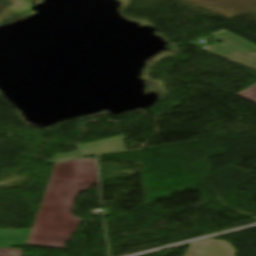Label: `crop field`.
I'll return each instance as SVG.
<instances>
[{"label": "crop field", "instance_id": "ac0d7876", "mask_svg": "<svg viewBox=\"0 0 256 256\" xmlns=\"http://www.w3.org/2000/svg\"><path fill=\"white\" fill-rule=\"evenodd\" d=\"M210 36L224 42L222 45L213 44L208 50L218 56L228 58L256 69V46L223 30Z\"/></svg>", "mask_w": 256, "mask_h": 256}, {"label": "crop field", "instance_id": "f4fd0767", "mask_svg": "<svg viewBox=\"0 0 256 256\" xmlns=\"http://www.w3.org/2000/svg\"><path fill=\"white\" fill-rule=\"evenodd\" d=\"M89 155H93V154H89V153L82 152V151L69 152V153L56 155V156L53 157V159L47 160L45 162L48 163V164H51V163H57V162L82 158V157H86V156H89Z\"/></svg>", "mask_w": 256, "mask_h": 256}, {"label": "crop field", "instance_id": "d8731c3e", "mask_svg": "<svg viewBox=\"0 0 256 256\" xmlns=\"http://www.w3.org/2000/svg\"><path fill=\"white\" fill-rule=\"evenodd\" d=\"M191 44H193V45H195V46H197V47L203 49V45H201V44H199V43H197V42H194V43H191Z\"/></svg>", "mask_w": 256, "mask_h": 256}, {"label": "crop field", "instance_id": "dd49c442", "mask_svg": "<svg viewBox=\"0 0 256 256\" xmlns=\"http://www.w3.org/2000/svg\"><path fill=\"white\" fill-rule=\"evenodd\" d=\"M237 95L256 102V84L251 86L250 88L238 93Z\"/></svg>", "mask_w": 256, "mask_h": 256}, {"label": "crop field", "instance_id": "8a807250", "mask_svg": "<svg viewBox=\"0 0 256 256\" xmlns=\"http://www.w3.org/2000/svg\"><path fill=\"white\" fill-rule=\"evenodd\" d=\"M92 184H98L95 160L54 164L26 245L64 249L81 221L71 214L74 200Z\"/></svg>", "mask_w": 256, "mask_h": 256}, {"label": "crop field", "instance_id": "e52e79f7", "mask_svg": "<svg viewBox=\"0 0 256 256\" xmlns=\"http://www.w3.org/2000/svg\"><path fill=\"white\" fill-rule=\"evenodd\" d=\"M24 251L8 248L0 249V256H22Z\"/></svg>", "mask_w": 256, "mask_h": 256}, {"label": "crop field", "instance_id": "34b2d1b8", "mask_svg": "<svg viewBox=\"0 0 256 256\" xmlns=\"http://www.w3.org/2000/svg\"><path fill=\"white\" fill-rule=\"evenodd\" d=\"M236 252L228 242L203 240L190 243L185 256H233Z\"/></svg>", "mask_w": 256, "mask_h": 256}, {"label": "crop field", "instance_id": "412701ff", "mask_svg": "<svg viewBox=\"0 0 256 256\" xmlns=\"http://www.w3.org/2000/svg\"><path fill=\"white\" fill-rule=\"evenodd\" d=\"M124 140H125V137L124 135H122L118 137H113L109 139H104V140L80 145L79 147L83 150L91 151L96 154L123 151V150H126Z\"/></svg>", "mask_w": 256, "mask_h": 256}]
</instances>
